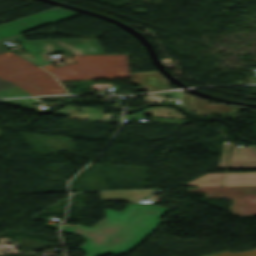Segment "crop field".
<instances>
[{"label": "crop field", "instance_id": "obj_8", "mask_svg": "<svg viewBox=\"0 0 256 256\" xmlns=\"http://www.w3.org/2000/svg\"><path fill=\"white\" fill-rule=\"evenodd\" d=\"M150 114L155 117H175V118H184L179 112L174 109L167 107H154L148 108Z\"/></svg>", "mask_w": 256, "mask_h": 256}, {"label": "crop field", "instance_id": "obj_4", "mask_svg": "<svg viewBox=\"0 0 256 256\" xmlns=\"http://www.w3.org/2000/svg\"><path fill=\"white\" fill-rule=\"evenodd\" d=\"M98 43L96 39L20 42L24 52L62 53L63 55L104 54V50L102 51Z\"/></svg>", "mask_w": 256, "mask_h": 256}, {"label": "crop field", "instance_id": "obj_12", "mask_svg": "<svg viewBox=\"0 0 256 256\" xmlns=\"http://www.w3.org/2000/svg\"><path fill=\"white\" fill-rule=\"evenodd\" d=\"M246 199H247L248 201L253 202L254 205H256V200H255V198H254L253 196L247 197Z\"/></svg>", "mask_w": 256, "mask_h": 256}, {"label": "crop field", "instance_id": "obj_6", "mask_svg": "<svg viewBox=\"0 0 256 256\" xmlns=\"http://www.w3.org/2000/svg\"><path fill=\"white\" fill-rule=\"evenodd\" d=\"M79 14L55 7L0 26V39Z\"/></svg>", "mask_w": 256, "mask_h": 256}, {"label": "crop field", "instance_id": "obj_9", "mask_svg": "<svg viewBox=\"0 0 256 256\" xmlns=\"http://www.w3.org/2000/svg\"><path fill=\"white\" fill-rule=\"evenodd\" d=\"M21 56H23L24 58L30 60L31 62L39 66L50 62L44 54L28 53V54H22Z\"/></svg>", "mask_w": 256, "mask_h": 256}, {"label": "crop field", "instance_id": "obj_3", "mask_svg": "<svg viewBox=\"0 0 256 256\" xmlns=\"http://www.w3.org/2000/svg\"><path fill=\"white\" fill-rule=\"evenodd\" d=\"M0 78L32 95L66 93L49 73L10 52L0 54Z\"/></svg>", "mask_w": 256, "mask_h": 256}, {"label": "crop field", "instance_id": "obj_7", "mask_svg": "<svg viewBox=\"0 0 256 256\" xmlns=\"http://www.w3.org/2000/svg\"><path fill=\"white\" fill-rule=\"evenodd\" d=\"M54 114L70 115V118L110 123V120H107L110 114L103 115L102 111L89 107L79 109L67 105L64 108L55 111Z\"/></svg>", "mask_w": 256, "mask_h": 256}, {"label": "crop field", "instance_id": "obj_5", "mask_svg": "<svg viewBox=\"0 0 256 256\" xmlns=\"http://www.w3.org/2000/svg\"><path fill=\"white\" fill-rule=\"evenodd\" d=\"M190 193L205 192L206 198L230 197L234 215L245 217L256 214V206L248 202L246 196L254 195L256 198V186L241 187H209L188 190Z\"/></svg>", "mask_w": 256, "mask_h": 256}, {"label": "crop field", "instance_id": "obj_2", "mask_svg": "<svg viewBox=\"0 0 256 256\" xmlns=\"http://www.w3.org/2000/svg\"><path fill=\"white\" fill-rule=\"evenodd\" d=\"M77 63L43 67L59 81L130 77L127 54L73 56Z\"/></svg>", "mask_w": 256, "mask_h": 256}, {"label": "crop field", "instance_id": "obj_1", "mask_svg": "<svg viewBox=\"0 0 256 256\" xmlns=\"http://www.w3.org/2000/svg\"><path fill=\"white\" fill-rule=\"evenodd\" d=\"M105 211L106 219L92 228L64 224L61 229L83 237L85 242L78 249L84 251L85 256L119 255L129 251L164 222L158 218L168 210L155 205L130 203L122 212Z\"/></svg>", "mask_w": 256, "mask_h": 256}, {"label": "crop field", "instance_id": "obj_11", "mask_svg": "<svg viewBox=\"0 0 256 256\" xmlns=\"http://www.w3.org/2000/svg\"><path fill=\"white\" fill-rule=\"evenodd\" d=\"M212 256H256V250L248 251V252H242L237 254H232L231 252H223Z\"/></svg>", "mask_w": 256, "mask_h": 256}, {"label": "crop field", "instance_id": "obj_10", "mask_svg": "<svg viewBox=\"0 0 256 256\" xmlns=\"http://www.w3.org/2000/svg\"><path fill=\"white\" fill-rule=\"evenodd\" d=\"M11 40H17V41H22L23 39L21 38V36H12L8 39L2 40L0 41V53L6 52V48L3 46V44L1 42L3 41H11ZM15 86L13 83L8 82V81H4L2 79H0V90L5 89V88H9Z\"/></svg>", "mask_w": 256, "mask_h": 256}]
</instances>
